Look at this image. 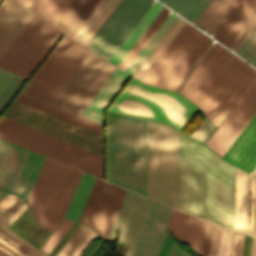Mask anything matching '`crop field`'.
Here are the masks:
<instances>
[{
  "label": "crop field",
  "instance_id": "f4fd0767",
  "mask_svg": "<svg viewBox=\"0 0 256 256\" xmlns=\"http://www.w3.org/2000/svg\"><path fill=\"white\" fill-rule=\"evenodd\" d=\"M146 196L178 209V130L148 120Z\"/></svg>",
  "mask_w": 256,
  "mask_h": 256
},
{
  "label": "crop field",
  "instance_id": "733c2abd",
  "mask_svg": "<svg viewBox=\"0 0 256 256\" xmlns=\"http://www.w3.org/2000/svg\"><path fill=\"white\" fill-rule=\"evenodd\" d=\"M170 208L148 200L125 256H158L167 235L163 228Z\"/></svg>",
  "mask_w": 256,
  "mask_h": 256
},
{
  "label": "crop field",
  "instance_id": "1f2cbd36",
  "mask_svg": "<svg viewBox=\"0 0 256 256\" xmlns=\"http://www.w3.org/2000/svg\"><path fill=\"white\" fill-rule=\"evenodd\" d=\"M253 174L256 176V170H255V172Z\"/></svg>",
  "mask_w": 256,
  "mask_h": 256
},
{
  "label": "crop field",
  "instance_id": "028f5c9d",
  "mask_svg": "<svg viewBox=\"0 0 256 256\" xmlns=\"http://www.w3.org/2000/svg\"><path fill=\"white\" fill-rule=\"evenodd\" d=\"M168 12H169V10L164 7L163 10L160 12V14L152 22V24L149 26V28L145 31V33L138 40V42L134 45V47L127 54V56L123 59V61L120 63V65L118 67H120L124 70L126 69V67L129 65V63L133 60V58L137 55V53L144 46V44L147 42V40L151 37V35L154 33V31L158 28V26L165 19Z\"/></svg>",
  "mask_w": 256,
  "mask_h": 256
},
{
  "label": "crop field",
  "instance_id": "d23c7cc5",
  "mask_svg": "<svg viewBox=\"0 0 256 256\" xmlns=\"http://www.w3.org/2000/svg\"><path fill=\"white\" fill-rule=\"evenodd\" d=\"M169 256H187L184 254L178 247H176L174 244L172 246V249L169 253Z\"/></svg>",
  "mask_w": 256,
  "mask_h": 256
},
{
  "label": "crop field",
  "instance_id": "bd1437ed",
  "mask_svg": "<svg viewBox=\"0 0 256 256\" xmlns=\"http://www.w3.org/2000/svg\"><path fill=\"white\" fill-rule=\"evenodd\" d=\"M25 81L22 77L0 69V113Z\"/></svg>",
  "mask_w": 256,
  "mask_h": 256
},
{
  "label": "crop field",
  "instance_id": "5d738f31",
  "mask_svg": "<svg viewBox=\"0 0 256 256\" xmlns=\"http://www.w3.org/2000/svg\"><path fill=\"white\" fill-rule=\"evenodd\" d=\"M173 242L172 240L170 239V237L167 235L166 239H165V242L163 244V247L160 251V254L159 256H168V253L171 249V246H172Z\"/></svg>",
  "mask_w": 256,
  "mask_h": 256
},
{
  "label": "crop field",
  "instance_id": "d3111659",
  "mask_svg": "<svg viewBox=\"0 0 256 256\" xmlns=\"http://www.w3.org/2000/svg\"><path fill=\"white\" fill-rule=\"evenodd\" d=\"M15 100L20 101L22 103H25L27 105H30L32 107H35L37 109H40L42 111H45L47 113H50L52 115H55L57 117H60L62 119H65L67 121H70L72 123H75L77 125H80L82 127H85L87 129H90L92 131H95V132L103 135V127L102 126L92 123L90 121H87L85 119H82L78 116H75V115L65 112L63 110H60L58 108H55L53 106H50L48 104H45L43 102H40L36 99H33V98L23 95L21 93H19L17 95Z\"/></svg>",
  "mask_w": 256,
  "mask_h": 256
},
{
  "label": "crop field",
  "instance_id": "412701ff",
  "mask_svg": "<svg viewBox=\"0 0 256 256\" xmlns=\"http://www.w3.org/2000/svg\"><path fill=\"white\" fill-rule=\"evenodd\" d=\"M108 180L145 196V120L108 112Z\"/></svg>",
  "mask_w": 256,
  "mask_h": 256
},
{
  "label": "crop field",
  "instance_id": "d32e631a",
  "mask_svg": "<svg viewBox=\"0 0 256 256\" xmlns=\"http://www.w3.org/2000/svg\"><path fill=\"white\" fill-rule=\"evenodd\" d=\"M233 232H234V238H233V247H232L231 256H242L244 234L235 232L233 230H230L224 227H222V231H221L219 256L230 255Z\"/></svg>",
  "mask_w": 256,
  "mask_h": 256
},
{
  "label": "crop field",
  "instance_id": "120bbe31",
  "mask_svg": "<svg viewBox=\"0 0 256 256\" xmlns=\"http://www.w3.org/2000/svg\"><path fill=\"white\" fill-rule=\"evenodd\" d=\"M195 23L209 0H161ZM175 10V11H176ZM178 12V13H179ZM185 17V18H186Z\"/></svg>",
  "mask_w": 256,
  "mask_h": 256
},
{
  "label": "crop field",
  "instance_id": "22f410ed",
  "mask_svg": "<svg viewBox=\"0 0 256 256\" xmlns=\"http://www.w3.org/2000/svg\"><path fill=\"white\" fill-rule=\"evenodd\" d=\"M3 116L103 156V136L13 100Z\"/></svg>",
  "mask_w": 256,
  "mask_h": 256
},
{
  "label": "crop field",
  "instance_id": "1d83c4d3",
  "mask_svg": "<svg viewBox=\"0 0 256 256\" xmlns=\"http://www.w3.org/2000/svg\"><path fill=\"white\" fill-rule=\"evenodd\" d=\"M94 179V177H91L89 175H83L78 189L75 193V196L72 200V203L69 207V210L66 214L67 218L76 222L78 221Z\"/></svg>",
  "mask_w": 256,
  "mask_h": 256
},
{
  "label": "crop field",
  "instance_id": "b54c1fbb",
  "mask_svg": "<svg viewBox=\"0 0 256 256\" xmlns=\"http://www.w3.org/2000/svg\"><path fill=\"white\" fill-rule=\"evenodd\" d=\"M255 18H256V8L254 9V11L252 12V14L250 15V17L248 18V20L246 21V23L242 27L241 31L239 32V34L237 35V37L235 38V40L233 41V43L231 44V46L229 48H232L235 51V49L239 45L240 41L242 40V38L244 37V35L246 34L248 29L252 25Z\"/></svg>",
  "mask_w": 256,
  "mask_h": 256
},
{
  "label": "crop field",
  "instance_id": "73cf0c24",
  "mask_svg": "<svg viewBox=\"0 0 256 256\" xmlns=\"http://www.w3.org/2000/svg\"><path fill=\"white\" fill-rule=\"evenodd\" d=\"M255 243H256V239L253 238V240H252V247H251V255L250 256H254Z\"/></svg>",
  "mask_w": 256,
  "mask_h": 256
},
{
  "label": "crop field",
  "instance_id": "e1f06a70",
  "mask_svg": "<svg viewBox=\"0 0 256 256\" xmlns=\"http://www.w3.org/2000/svg\"><path fill=\"white\" fill-rule=\"evenodd\" d=\"M235 52L256 66V20Z\"/></svg>",
  "mask_w": 256,
  "mask_h": 256
},
{
  "label": "crop field",
  "instance_id": "34b2d1b8",
  "mask_svg": "<svg viewBox=\"0 0 256 256\" xmlns=\"http://www.w3.org/2000/svg\"><path fill=\"white\" fill-rule=\"evenodd\" d=\"M251 68L214 44L177 91L211 120Z\"/></svg>",
  "mask_w": 256,
  "mask_h": 256
},
{
  "label": "crop field",
  "instance_id": "730fd06b",
  "mask_svg": "<svg viewBox=\"0 0 256 256\" xmlns=\"http://www.w3.org/2000/svg\"><path fill=\"white\" fill-rule=\"evenodd\" d=\"M120 1L102 0L73 38L86 46Z\"/></svg>",
  "mask_w": 256,
  "mask_h": 256
},
{
  "label": "crop field",
  "instance_id": "5a996713",
  "mask_svg": "<svg viewBox=\"0 0 256 256\" xmlns=\"http://www.w3.org/2000/svg\"><path fill=\"white\" fill-rule=\"evenodd\" d=\"M0 138L103 179V157L48 134L0 117Z\"/></svg>",
  "mask_w": 256,
  "mask_h": 256
},
{
  "label": "crop field",
  "instance_id": "dd49c442",
  "mask_svg": "<svg viewBox=\"0 0 256 256\" xmlns=\"http://www.w3.org/2000/svg\"><path fill=\"white\" fill-rule=\"evenodd\" d=\"M81 175L76 169L45 159L27 202L38 225L55 229L66 214Z\"/></svg>",
  "mask_w": 256,
  "mask_h": 256
},
{
  "label": "crop field",
  "instance_id": "4177f3b9",
  "mask_svg": "<svg viewBox=\"0 0 256 256\" xmlns=\"http://www.w3.org/2000/svg\"><path fill=\"white\" fill-rule=\"evenodd\" d=\"M100 1L74 0L54 26L73 37Z\"/></svg>",
  "mask_w": 256,
  "mask_h": 256
},
{
  "label": "crop field",
  "instance_id": "d8731c3e",
  "mask_svg": "<svg viewBox=\"0 0 256 256\" xmlns=\"http://www.w3.org/2000/svg\"><path fill=\"white\" fill-rule=\"evenodd\" d=\"M195 108L177 93L132 79L108 110L165 122L179 129Z\"/></svg>",
  "mask_w": 256,
  "mask_h": 256
},
{
  "label": "crop field",
  "instance_id": "bc2a9ffb",
  "mask_svg": "<svg viewBox=\"0 0 256 256\" xmlns=\"http://www.w3.org/2000/svg\"><path fill=\"white\" fill-rule=\"evenodd\" d=\"M250 175L235 168V229L256 236V179L250 182V219L248 227V202Z\"/></svg>",
  "mask_w": 256,
  "mask_h": 256
},
{
  "label": "crop field",
  "instance_id": "d9b57169",
  "mask_svg": "<svg viewBox=\"0 0 256 256\" xmlns=\"http://www.w3.org/2000/svg\"><path fill=\"white\" fill-rule=\"evenodd\" d=\"M125 192L96 178L78 222L107 238Z\"/></svg>",
  "mask_w": 256,
  "mask_h": 256
},
{
  "label": "crop field",
  "instance_id": "28ad6ade",
  "mask_svg": "<svg viewBox=\"0 0 256 256\" xmlns=\"http://www.w3.org/2000/svg\"><path fill=\"white\" fill-rule=\"evenodd\" d=\"M88 51L64 34L21 92L49 103Z\"/></svg>",
  "mask_w": 256,
  "mask_h": 256
},
{
  "label": "crop field",
  "instance_id": "03da06ac",
  "mask_svg": "<svg viewBox=\"0 0 256 256\" xmlns=\"http://www.w3.org/2000/svg\"><path fill=\"white\" fill-rule=\"evenodd\" d=\"M0 236L13 245H17L22 239L17 236L7 225L5 217L0 213Z\"/></svg>",
  "mask_w": 256,
  "mask_h": 256
},
{
  "label": "crop field",
  "instance_id": "89e229c0",
  "mask_svg": "<svg viewBox=\"0 0 256 256\" xmlns=\"http://www.w3.org/2000/svg\"><path fill=\"white\" fill-rule=\"evenodd\" d=\"M0 256H7L6 254H4V253H2V252H0Z\"/></svg>",
  "mask_w": 256,
  "mask_h": 256
},
{
  "label": "crop field",
  "instance_id": "00972430",
  "mask_svg": "<svg viewBox=\"0 0 256 256\" xmlns=\"http://www.w3.org/2000/svg\"><path fill=\"white\" fill-rule=\"evenodd\" d=\"M255 118H256V114L252 118V120L248 123V125L245 127V129L241 132V134L238 136V138L234 141V143L231 145V147L227 150V152L224 154V156L222 157L225 160H227L226 158H228L230 161L240 165L241 167H243L251 172L256 167V120H255ZM252 122H253V124H252ZM249 126H250V128H249ZM245 131H246V133H245ZM242 135H243V137L241 138ZM238 140H239V142H238ZM234 145H235V147H234ZM231 149H232V151L230 152ZM227 154H228V156H227ZM229 160H227V161L230 162ZM232 162H230V163H232ZM234 163H232V164H234ZM236 164H234V165H236ZM238 165H236V166H238ZM240 166H238V167L241 168ZM243 168H241V169H243ZM245 169H243V170H245ZM247 170H245V171H247ZM249 171H247V172H249ZM251 172H249V173H251Z\"/></svg>",
  "mask_w": 256,
  "mask_h": 256
},
{
  "label": "crop field",
  "instance_id": "ac0d7876",
  "mask_svg": "<svg viewBox=\"0 0 256 256\" xmlns=\"http://www.w3.org/2000/svg\"><path fill=\"white\" fill-rule=\"evenodd\" d=\"M31 14L11 0L2 3L0 55ZM61 34V31L32 14L0 56V67L28 78Z\"/></svg>",
  "mask_w": 256,
  "mask_h": 256
},
{
  "label": "crop field",
  "instance_id": "b80d0937",
  "mask_svg": "<svg viewBox=\"0 0 256 256\" xmlns=\"http://www.w3.org/2000/svg\"><path fill=\"white\" fill-rule=\"evenodd\" d=\"M72 224L73 222L64 218L40 249L48 254Z\"/></svg>",
  "mask_w": 256,
  "mask_h": 256
},
{
  "label": "crop field",
  "instance_id": "3316defc",
  "mask_svg": "<svg viewBox=\"0 0 256 256\" xmlns=\"http://www.w3.org/2000/svg\"><path fill=\"white\" fill-rule=\"evenodd\" d=\"M255 113L256 70L252 68L211 120L218 128L206 145L222 157Z\"/></svg>",
  "mask_w": 256,
  "mask_h": 256
},
{
  "label": "crop field",
  "instance_id": "750c4746",
  "mask_svg": "<svg viewBox=\"0 0 256 256\" xmlns=\"http://www.w3.org/2000/svg\"><path fill=\"white\" fill-rule=\"evenodd\" d=\"M97 233L81 225L56 256H79Z\"/></svg>",
  "mask_w": 256,
  "mask_h": 256
},
{
  "label": "crop field",
  "instance_id": "eef30255",
  "mask_svg": "<svg viewBox=\"0 0 256 256\" xmlns=\"http://www.w3.org/2000/svg\"><path fill=\"white\" fill-rule=\"evenodd\" d=\"M163 7L157 2L150 6L109 61L118 66Z\"/></svg>",
  "mask_w": 256,
  "mask_h": 256
},
{
  "label": "crop field",
  "instance_id": "92a150f3",
  "mask_svg": "<svg viewBox=\"0 0 256 256\" xmlns=\"http://www.w3.org/2000/svg\"><path fill=\"white\" fill-rule=\"evenodd\" d=\"M147 198L127 192L107 240L114 241V232L120 223L118 242L129 245Z\"/></svg>",
  "mask_w": 256,
  "mask_h": 256
},
{
  "label": "crop field",
  "instance_id": "425ffa30",
  "mask_svg": "<svg viewBox=\"0 0 256 256\" xmlns=\"http://www.w3.org/2000/svg\"><path fill=\"white\" fill-rule=\"evenodd\" d=\"M234 0H230L229 4L227 5V7L225 8V10L223 11V13L221 14V16L219 17V19L217 20L216 24L214 25V27L212 28V30L210 31V34L212 32H214V30L216 29V27L218 26L219 22L221 21V19L223 18V16L225 15V13L227 12V10L229 9V7L231 6L232 2Z\"/></svg>",
  "mask_w": 256,
  "mask_h": 256
},
{
  "label": "crop field",
  "instance_id": "5142ce71",
  "mask_svg": "<svg viewBox=\"0 0 256 256\" xmlns=\"http://www.w3.org/2000/svg\"><path fill=\"white\" fill-rule=\"evenodd\" d=\"M152 0H122L86 47L110 59Z\"/></svg>",
  "mask_w": 256,
  "mask_h": 256
},
{
  "label": "crop field",
  "instance_id": "c035e120",
  "mask_svg": "<svg viewBox=\"0 0 256 256\" xmlns=\"http://www.w3.org/2000/svg\"><path fill=\"white\" fill-rule=\"evenodd\" d=\"M0 243L6 246L7 248L11 249L12 251H14L20 256H47L42 252L38 251L37 249H35L30 244L26 243L25 241H22L20 244H18L15 247L0 237Z\"/></svg>",
  "mask_w": 256,
  "mask_h": 256
},
{
  "label": "crop field",
  "instance_id": "214f88e0",
  "mask_svg": "<svg viewBox=\"0 0 256 256\" xmlns=\"http://www.w3.org/2000/svg\"><path fill=\"white\" fill-rule=\"evenodd\" d=\"M206 221L174 209L166 228L202 256Z\"/></svg>",
  "mask_w": 256,
  "mask_h": 256
},
{
  "label": "crop field",
  "instance_id": "cbeb9de0",
  "mask_svg": "<svg viewBox=\"0 0 256 256\" xmlns=\"http://www.w3.org/2000/svg\"><path fill=\"white\" fill-rule=\"evenodd\" d=\"M44 159L0 139V188L27 202Z\"/></svg>",
  "mask_w": 256,
  "mask_h": 256
},
{
  "label": "crop field",
  "instance_id": "5866460e",
  "mask_svg": "<svg viewBox=\"0 0 256 256\" xmlns=\"http://www.w3.org/2000/svg\"><path fill=\"white\" fill-rule=\"evenodd\" d=\"M228 2L229 0H210L195 24L209 33Z\"/></svg>",
  "mask_w": 256,
  "mask_h": 256
},
{
  "label": "crop field",
  "instance_id": "d1516ede",
  "mask_svg": "<svg viewBox=\"0 0 256 256\" xmlns=\"http://www.w3.org/2000/svg\"><path fill=\"white\" fill-rule=\"evenodd\" d=\"M90 51L50 104L79 115L114 71L116 67Z\"/></svg>",
  "mask_w": 256,
  "mask_h": 256
},
{
  "label": "crop field",
  "instance_id": "ae1a2a85",
  "mask_svg": "<svg viewBox=\"0 0 256 256\" xmlns=\"http://www.w3.org/2000/svg\"><path fill=\"white\" fill-rule=\"evenodd\" d=\"M51 24L59 19L73 0H16Z\"/></svg>",
  "mask_w": 256,
  "mask_h": 256
},
{
  "label": "crop field",
  "instance_id": "4a817a6b",
  "mask_svg": "<svg viewBox=\"0 0 256 256\" xmlns=\"http://www.w3.org/2000/svg\"><path fill=\"white\" fill-rule=\"evenodd\" d=\"M184 22L171 12L125 71L140 80Z\"/></svg>",
  "mask_w": 256,
  "mask_h": 256
},
{
  "label": "crop field",
  "instance_id": "8a807250",
  "mask_svg": "<svg viewBox=\"0 0 256 256\" xmlns=\"http://www.w3.org/2000/svg\"><path fill=\"white\" fill-rule=\"evenodd\" d=\"M234 167L179 132V209L233 228Z\"/></svg>",
  "mask_w": 256,
  "mask_h": 256
},
{
  "label": "crop field",
  "instance_id": "c21b1889",
  "mask_svg": "<svg viewBox=\"0 0 256 256\" xmlns=\"http://www.w3.org/2000/svg\"><path fill=\"white\" fill-rule=\"evenodd\" d=\"M214 129L215 127L205 117L198 128L190 136L204 143Z\"/></svg>",
  "mask_w": 256,
  "mask_h": 256
},
{
  "label": "crop field",
  "instance_id": "dafd665d",
  "mask_svg": "<svg viewBox=\"0 0 256 256\" xmlns=\"http://www.w3.org/2000/svg\"><path fill=\"white\" fill-rule=\"evenodd\" d=\"M256 0H235L214 32V38L229 47L254 7Z\"/></svg>",
  "mask_w": 256,
  "mask_h": 256
},
{
  "label": "crop field",
  "instance_id": "0bd39190",
  "mask_svg": "<svg viewBox=\"0 0 256 256\" xmlns=\"http://www.w3.org/2000/svg\"><path fill=\"white\" fill-rule=\"evenodd\" d=\"M220 230V225L207 221L204 256L218 255Z\"/></svg>",
  "mask_w": 256,
  "mask_h": 256
},
{
  "label": "crop field",
  "instance_id": "a9b5d70f",
  "mask_svg": "<svg viewBox=\"0 0 256 256\" xmlns=\"http://www.w3.org/2000/svg\"><path fill=\"white\" fill-rule=\"evenodd\" d=\"M129 77L116 68L103 87L81 112L80 116L103 125V110Z\"/></svg>",
  "mask_w": 256,
  "mask_h": 256
},
{
  "label": "crop field",
  "instance_id": "25e5ab78",
  "mask_svg": "<svg viewBox=\"0 0 256 256\" xmlns=\"http://www.w3.org/2000/svg\"><path fill=\"white\" fill-rule=\"evenodd\" d=\"M0 250L6 252L8 255L10 256H17L14 253H12L11 251H9L8 249L4 248L3 246L0 245Z\"/></svg>",
  "mask_w": 256,
  "mask_h": 256
},
{
  "label": "crop field",
  "instance_id": "e52e79f7",
  "mask_svg": "<svg viewBox=\"0 0 256 256\" xmlns=\"http://www.w3.org/2000/svg\"><path fill=\"white\" fill-rule=\"evenodd\" d=\"M211 41L185 22L140 81L176 90L208 49Z\"/></svg>",
  "mask_w": 256,
  "mask_h": 256
}]
</instances>
